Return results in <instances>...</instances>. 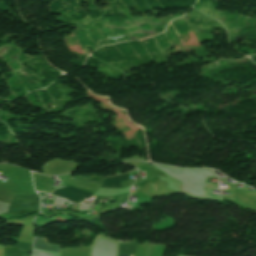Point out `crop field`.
Here are the masks:
<instances>
[{
    "mask_svg": "<svg viewBox=\"0 0 256 256\" xmlns=\"http://www.w3.org/2000/svg\"><path fill=\"white\" fill-rule=\"evenodd\" d=\"M34 248L57 252V253H59L61 250L60 246L49 245L46 238L39 237V236H37L34 239Z\"/></svg>",
    "mask_w": 256,
    "mask_h": 256,
    "instance_id": "2",
    "label": "crop field"
},
{
    "mask_svg": "<svg viewBox=\"0 0 256 256\" xmlns=\"http://www.w3.org/2000/svg\"><path fill=\"white\" fill-rule=\"evenodd\" d=\"M156 188V187H155Z\"/></svg>",
    "mask_w": 256,
    "mask_h": 256,
    "instance_id": "5",
    "label": "crop field"
},
{
    "mask_svg": "<svg viewBox=\"0 0 256 256\" xmlns=\"http://www.w3.org/2000/svg\"><path fill=\"white\" fill-rule=\"evenodd\" d=\"M54 191L55 190H53V192ZM53 194L57 195V196H60V197H63V198H66V199L70 200L71 202L92 195V193H89V192H86V191H83V190H80V189H77V188H74V187H71V186L58 189Z\"/></svg>",
    "mask_w": 256,
    "mask_h": 256,
    "instance_id": "1",
    "label": "crop field"
},
{
    "mask_svg": "<svg viewBox=\"0 0 256 256\" xmlns=\"http://www.w3.org/2000/svg\"><path fill=\"white\" fill-rule=\"evenodd\" d=\"M119 256H127V255H121V254H119Z\"/></svg>",
    "mask_w": 256,
    "mask_h": 256,
    "instance_id": "4",
    "label": "crop field"
},
{
    "mask_svg": "<svg viewBox=\"0 0 256 256\" xmlns=\"http://www.w3.org/2000/svg\"><path fill=\"white\" fill-rule=\"evenodd\" d=\"M129 179L128 174L106 178L102 187L119 188V182Z\"/></svg>",
    "mask_w": 256,
    "mask_h": 256,
    "instance_id": "3",
    "label": "crop field"
}]
</instances>
